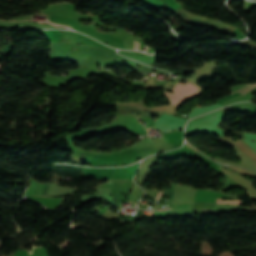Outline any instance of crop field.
I'll list each match as a JSON object with an SVG mask.
<instances>
[{
	"label": "crop field",
	"instance_id": "8a807250",
	"mask_svg": "<svg viewBox=\"0 0 256 256\" xmlns=\"http://www.w3.org/2000/svg\"><path fill=\"white\" fill-rule=\"evenodd\" d=\"M199 89L200 88L189 83H187V85H180L177 83V85L173 89L174 94H166L171 99L172 105L177 107L179 103L195 95L199 91Z\"/></svg>",
	"mask_w": 256,
	"mask_h": 256
},
{
	"label": "crop field",
	"instance_id": "ac0d7876",
	"mask_svg": "<svg viewBox=\"0 0 256 256\" xmlns=\"http://www.w3.org/2000/svg\"><path fill=\"white\" fill-rule=\"evenodd\" d=\"M195 190H191L188 186H175L173 204H178L186 201H193Z\"/></svg>",
	"mask_w": 256,
	"mask_h": 256
},
{
	"label": "crop field",
	"instance_id": "34b2d1b8",
	"mask_svg": "<svg viewBox=\"0 0 256 256\" xmlns=\"http://www.w3.org/2000/svg\"><path fill=\"white\" fill-rule=\"evenodd\" d=\"M254 90H256V84H248V85H246V86H244V87H242V88H240V89H238V90L232 92V94H233V93H236V92L242 93V94H248V93L253 92ZM236 98H237V97H236ZM233 99H235V98H233ZM233 99H230V100H233ZM230 100H228V101H230ZM226 102H227V101H226ZM224 103H225V102H224ZM222 104H223V103H222Z\"/></svg>",
	"mask_w": 256,
	"mask_h": 256
},
{
	"label": "crop field",
	"instance_id": "412701ff",
	"mask_svg": "<svg viewBox=\"0 0 256 256\" xmlns=\"http://www.w3.org/2000/svg\"><path fill=\"white\" fill-rule=\"evenodd\" d=\"M144 46H147V45L144 44L140 39L137 38L132 49H136V50H141L142 51Z\"/></svg>",
	"mask_w": 256,
	"mask_h": 256
},
{
	"label": "crop field",
	"instance_id": "f4fd0767",
	"mask_svg": "<svg viewBox=\"0 0 256 256\" xmlns=\"http://www.w3.org/2000/svg\"><path fill=\"white\" fill-rule=\"evenodd\" d=\"M225 202H235V201H225ZM217 203H222L221 199H217ZM230 204H242V202L239 200H236V203H230Z\"/></svg>",
	"mask_w": 256,
	"mask_h": 256
}]
</instances>
